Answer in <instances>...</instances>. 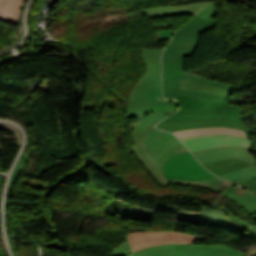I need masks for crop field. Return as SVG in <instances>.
I'll return each instance as SVG.
<instances>
[{
	"mask_svg": "<svg viewBox=\"0 0 256 256\" xmlns=\"http://www.w3.org/2000/svg\"><path fill=\"white\" fill-rule=\"evenodd\" d=\"M6 0H0V5H2Z\"/></svg>",
	"mask_w": 256,
	"mask_h": 256,
	"instance_id": "27",
	"label": "crop field"
},
{
	"mask_svg": "<svg viewBox=\"0 0 256 256\" xmlns=\"http://www.w3.org/2000/svg\"><path fill=\"white\" fill-rule=\"evenodd\" d=\"M225 195L235 201L239 206L249 212L256 218V194L246 190L239 191L235 187L221 191Z\"/></svg>",
	"mask_w": 256,
	"mask_h": 256,
	"instance_id": "14",
	"label": "crop field"
},
{
	"mask_svg": "<svg viewBox=\"0 0 256 256\" xmlns=\"http://www.w3.org/2000/svg\"><path fill=\"white\" fill-rule=\"evenodd\" d=\"M181 89L195 90L201 92H207L219 96L228 97L233 93V90L198 82H189L181 80Z\"/></svg>",
	"mask_w": 256,
	"mask_h": 256,
	"instance_id": "17",
	"label": "crop field"
},
{
	"mask_svg": "<svg viewBox=\"0 0 256 256\" xmlns=\"http://www.w3.org/2000/svg\"><path fill=\"white\" fill-rule=\"evenodd\" d=\"M215 26V20L210 21L194 17L191 21L178 29L172 41L167 46L162 54L163 61V90L164 94H178L186 96H201L212 97L218 99L228 100L224 97L214 96L206 93L180 90V79L206 82L214 85H219L234 89V86L223 83H218L210 80H205L197 75L184 73L183 64L184 56L190 57L192 52L197 48L199 33Z\"/></svg>",
	"mask_w": 256,
	"mask_h": 256,
	"instance_id": "1",
	"label": "crop field"
},
{
	"mask_svg": "<svg viewBox=\"0 0 256 256\" xmlns=\"http://www.w3.org/2000/svg\"><path fill=\"white\" fill-rule=\"evenodd\" d=\"M210 2L195 3L186 6H176V7H161V8H151L146 10H141L142 13L146 15L147 18L169 16V15H184V14H195L202 7Z\"/></svg>",
	"mask_w": 256,
	"mask_h": 256,
	"instance_id": "13",
	"label": "crop field"
},
{
	"mask_svg": "<svg viewBox=\"0 0 256 256\" xmlns=\"http://www.w3.org/2000/svg\"><path fill=\"white\" fill-rule=\"evenodd\" d=\"M215 11H216V8L212 3L208 4L207 6H205L204 8H202L197 14L196 16H199V17H202L204 19H211L212 16L215 15Z\"/></svg>",
	"mask_w": 256,
	"mask_h": 256,
	"instance_id": "21",
	"label": "crop field"
},
{
	"mask_svg": "<svg viewBox=\"0 0 256 256\" xmlns=\"http://www.w3.org/2000/svg\"><path fill=\"white\" fill-rule=\"evenodd\" d=\"M131 252V247L128 239L110 252L111 256H129Z\"/></svg>",
	"mask_w": 256,
	"mask_h": 256,
	"instance_id": "20",
	"label": "crop field"
},
{
	"mask_svg": "<svg viewBox=\"0 0 256 256\" xmlns=\"http://www.w3.org/2000/svg\"><path fill=\"white\" fill-rule=\"evenodd\" d=\"M167 132L160 131V130H152L148 133V135L144 139L143 146L145 147L146 151L148 150L149 145L154 142L157 138H159L161 135L165 134Z\"/></svg>",
	"mask_w": 256,
	"mask_h": 256,
	"instance_id": "22",
	"label": "crop field"
},
{
	"mask_svg": "<svg viewBox=\"0 0 256 256\" xmlns=\"http://www.w3.org/2000/svg\"><path fill=\"white\" fill-rule=\"evenodd\" d=\"M213 126L234 127L246 130L243 124L235 120L226 119L173 121L157 124L156 127L162 130L173 132L181 129L204 128Z\"/></svg>",
	"mask_w": 256,
	"mask_h": 256,
	"instance_id": "11",
	"label": "crop field"
},
{
	"mask_svg": "<svg viewBox=\"0 0 256 256\" xmlns=\"http://www.w3.org/2000/svg\"><path fill=\"white\" fill-rule=\"evenodd\" d=\"M203 166L212 173L220 176L229 171H234L236 169L249 166V163L241 159H224L203 164Z\"/></svg>",
	"mask_w": 256,
	"mask_h": 256,
	"instance_id": "16",
	"label": "crop field"
},
{
	"mask_svg": "<svg viewBox=\"0 0 256 256\" xmlns=\"http://www.w3.org/2000/svg\"><path fill=\"white\" fill-rule=\"evenodd\" d=\"M174 256H246L241 252L220 246L177 244Z\"/></svg>",
	"mask_w": 256,
	"mask_h": 256,
	"instance_id": "12",
	"label": "crop field"
},
{
	"mask_svg": "<svg viewBox=\"0 0 256 256\" xmlns=\"http://www.w3.org/2000/svg\"><path fill=\"white\" fill-rule=\"evenodd\" d=\"M178 107L167 101L154 102L143 106L136 110L129 118L137 117L140 120L134 124L132 127L134 129L133 132V140L134 145L137 144L138 134L147 126L152 124L153 122H158L159 120L165 118V115H169L176 111Z\"/></svg>",
	"mask_w": 256,
	"mask_h": 256,
	"instance_id": "8",
	"label": "crop field"
},
{
	"mask_svg": "<svg viewBox=\"0 0 256 256\" xmlns=\"http://www.w3.org/2000/svg\"><path fill=\"white\" fill-rule=\"evenodd\" d=\"M163 48L141 50L142 58L146 65V73L132 91L127 105L129 117L136 109L154 101L165 100L161 91V61L160 54Z\"/></svg>",
	"mask_w": 256,
	"mask_h": 256,
	"instance_id": "4",
	"label": "crop field"
},
{
	"mask_svg": "<svg viewBox=\"0 0 256 256\" xmlns=\"http://www.w3.org/2000/svg\"><path fill=\"white\" fill-rule=\"evenodd\" d=\"M175 31L172 30H158V33L162 40H168L174 34Z\"/></svg>",
	"mask_w": 256,
	"mask_h": 256,
	"instance_id": "24",
	"label": "crop field"
},
{
	"mask_svg": "<svg viewBox=\"0 0 256 256\" xmlns=\"http://www.w3.org/2000/svg\"><path fill=\"white\" fill-rule=\"evenodd\" d=\"M164 97L177 104L180 110L161 122L186 119L226 118L235 119L243 123L242 109L239 106L229 104L228 101L177 95H164Z\"/></svg>",
	"mask_w": 256,
	"mask_h": 256,
	"instance_id": "3",
	"label": "crop field"
},
{
	"mask_svg": "<svg viewBox=\"0 0 256 256\" xmlns=\"http://www.w3.org/2000/svg\"><path fill=\"white\" fill-rule=\"evenodd\" d=\"M199 223L216 227H222L224 229L244 235L256 242L255 235L240 227L237 223H235L233 220L229 218L226 212L222 210L201 209Z\"/></svg>",
	"mask_w": 256,
	"mask_h": 256,
	"instance_id": "10",
	"label": "crop field"
},
{
	"mask_svg": "<svg viewBox=\"0 0 256 256\" xmlns=\"http://www.w3.org/2000/svg\"><path fill=\"white\" fill-rule=\"evenodd\" d=\"M155 124V123H154ZM154 124L150 125L146 129H144L138 139L139 146H132L130 147V150L134 153V155L139 159V161L145 166V168L151 173V175L157 180V182L164 187H167L170 183L168 180H166L163 177L161 166L162 164L168 160L169 158L173 156H177L180 154H183L185 152H188L186 147L181 144L176 147L170 148L166 151H163L161 154H159L154 161H152L149 157V155L160 145L163 143L175 138L173 134H166L162 137H160L158 140H156L153 144H151L148 153L145 152L142 144L143 139L147 135L151 129H154ZM137 159V160H138ZM143 166V167H144ZM149 173V174H150ZM172 183H182V184H196V185H206L210 188L216 189L218 191H221L223 189H226L231 186H236L230 182H227L219 177L202 180V181H184V180H177L174 179Z\"/></svg>",
	"mask_w": 256,
	"mask_h": 256,
	"instance_id": "2",
	"label": "crop field"
},
{
	"mask_svg": "<svg viewBox=\"0 0 256 256\" xmlns=\"http://www.w3.org/2000/svg\"><path fill=\"white\" fill-rule=\"evenodd\" d=\"M176 244L153 246L147 249L135 251L131 256H173Z\"/></svg>",
	"mask_w": 256,
	"mask_h": 256,
	"instance_id": "19",
	"label": "crop field"
},
{
	"mask_svg": "<svg viewBox=\"0 0 256 256\" xmlns=\"http://www.w3.org/2000/svg\"><path fill=\"white\" fill-rule=\"evenodd\" d=\"M251 149L243 146H222L193 152L192 154L201 164L224 158H242L248 161L251 166L220 176L240 184L250 179V176L256 175V159L249 154Z\"/></svg>",
	"mask_w": 256,
	"mask_h": 256,
	"instance_id": "5",
	"label": "crop field"
},
{
	"mask_svg": "<svg viewBox=\"0 0 256 256\" xmlns=\"http://www.w3.org/2000/svg\"><path fill=\"white\" fill-rule=\"evenodd\" d=\"M173 133H175L178 138L213 135V134H235V135L249 138V135L246 131L237 130V129H233V128H221V127L181 130V131H177V132H173Z\"/></svg>",
	"mask_w": 256,
	"mask_h": 256,
	"instance_id": "15",
	"label": "crop field"
},
{
	"mask_svg": "<svg viewBox=\"0 0 256 256\" xmlns=\"http://www.w3.org/2000/svg\"><path fill=\"white\" fill-rule=\"evenodd\" d=\"M192 151L221 145H243L252 147V141L235 135H214L180 139Z\"/></svg>",
	"mask_w": 256,
	"mask_h": 256,
	"instance_id": "9",
	"label": "crop field"
},
{
	"mask_svg": "<svg viewBox=\"0 0 256 256\" xmlns=\"http://www.w3.org/2000/svg\"><path fill=\"white\" fill-rule=\"evenodd\" d=\"M0 193H1V179H0Z\"/></svg>",
	"mask_w": 256,
	"mask_h": 256,
	"instance_id": "28",
	"label": "crop field"
},
{
	"mask_svg": "<svg viewBox=\"0 0 256 256\" xmlns=\"http://www.w3.org/2000/svg\"><path fill=\"white\" fill-rule=\"evenodd\" d=\"M245 189L252 191V192H256V184L249 185V186L245 187Z\"/></svg>",
	"mask_w": 256,
	"mask_h": 256,
	"instance_id": "26",
	"label": "crop field"
},
{
	"mask_svg": "<svg viewBox=\"0 0 256 256\" xmlns=\"http://www.w3.org/2000/svg\"><path fill=\"white\" fill-rule=\"evenodd\" d=\"M204 237L179 232H136L130 233L129 239L134 250L165 243H193Z\"/></svg>",
	"mask_w": 256,
	"mask_h": 256,
	"instance_id": "7",
	"label": "crop field"
},
{
	"mask_svg": "<svg viewBox=\"0 0 256 256\" xmlns=\"http://www.w3.org/2000/svg\"><path fill=\"white\" fill-rule=\"evenodd\" d=\"M162 169L164 177L169 181L173 178L201 180L215 177L202 167L190 152L169 159L163 164Z\"/></svg>",
	"mask_w": 256,
	"mask_h": 256,
	"instance_id": "6",
	"label": "crop field"
},
{
	"mask_svg": "<svg viewBox=\"0 0 256 256\" xmlns=\"http://www.w3.org/2000/svg\"><path fill=\"white\" fill-rule=\"evenodd\" d=\"M0 256H3L2 253H1V251H0Z\"/></svg>",
	"mask_w": 256,
	"mask_h": 256,
	"instance_id": "29",
	"label": "crop field"
},
{
	"mask_svg": "<svg viewBox=\"0 0 256 256\" xmlns=\"http://www.w3.org/2000/svg\"><path fill=\"white\" fill-rule=\"evenodd\" d=\"M24 0H9L0 7V20L17 23Z\"/></svg>",
	"mask_w": 256,
	"mask_h": 256,
	"instance_id": "18",
	"label": "crop field"
},
{
	"mask_svg": "<svg viewBox=\"0 0 256 256\" xmlns=\"http://www.w3.org/2000/svg\"><path fill=\"white\" fill-rule=\"evenodd\" d=\"M252 183H256V176L252 177L251 180H249V181H247V182H245V183H243V184H241L239 186L244 187V186L252 184Z\"/></svg>",
	"mask_w": 256,
	"mask_h": 256,
	"instance_id": "25",
	"label": "crop field"
},
{
	"mask_svg": "<svg viewBox=\"0 0 256 256\" xmlns=\"http://www.w3.org/2000/svg\"><path fill=\"white\" fill-rule=\"evenodd\" d=\"M178 144H181V142L179 141L178 138H175L167 143H165L164 145H162L161 147H159L158 149H156L151 155L150 157L152 158V160L160 153L162 152L163 150L165 149H168L172 146H175V145H178Z\"/></svg>",
	"mask_w": 256,
	"mask_h": 256,
	"instance_id": "23",
	"label": "crop field"
}]
</instances>
